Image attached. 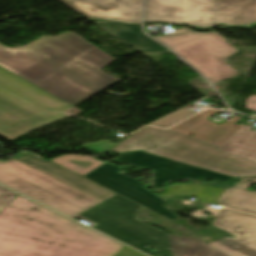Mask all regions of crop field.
<instances>
[{"instance_id": "crop-field-1", "label": "crop field", "mask_w": 256, "mask_h": 256, "mask_svg": "<svg viewBox=\"0 0 256 256\" xmlns=\"http://www.w3.org/2000/svg\"><path fill=\"white\" fill-rule=\"evenodd\" d=\"M0 183L150 256H228L197 238L166 235L139 222L134 214L141 205L33 154L20 151L0 162Z\"/></svg>"}, {"instance_id": "crop-field-2", "label": "crop field", "mask_w": 256, "mask_h": 256, "mask_svg": "<svg viewBox=\"0 0 256 256\" xmlns=\"http://www.w3.org/2000/svg\"><path fill=\"white\" fill-rule=\"evenodd\" d=\"M73 32L18 48L0 43V66L75 106L121 79L102 70L116 59Z\"/></svg>"}, {"instance_id": "crop-field-3", "label": "crop field", "mask_w": 256, "mask_h": 256, "mask_svg": "<svg viewBox=\"0 0 256 256\" xmlns=\"http://www.w3.org/2000/svg\"><path fill=\"white\" fill-rule=\"evenodd\" d=\"M0 256H145L20 195L0 213Z\"/></svg>"}, {"instance_id": "crop-field-4", "label": "crop field", "mask_w": 256, "mask_h": 256, "mask_svg": "<svg viewBox=\"0 0 256 256\" xmlns=\"http://www.w3.org/2000/svg\"><path fill=\"white\" fill-rule=\"evenodd\" d=\"M217 112L204 111L167 130L146 127L111 150H141L234 177L256 176V163L217 150L242 126L234 124L238 117L221 125L206 120Z\"/></svg>"}, {"instance_id": "crop-field-5", "label": "crop field", "mask_w": 256, "mask_h": 256, "mask_svg": "<svg viewBox=\"0 0 256 256\" xmlns=\"http://www.w3.org/2000/svg\"><path fill=\"white\" fill-rule=\"evenodd\" d=\"M79 111L0 67V136L12 141Z\"/></svg>"}, {"instance_id": "crop-field-6", "label": "crop field", "mask_w": 256, "mask_h": 256, "mask_svg": "<svg viewBox=\"0 0 256 256\" xmlns=\"http://www.w3.org/2000/svg\"><path fill=\"white\" fill-rule=\"evenodd\" d=\"M219 0H146L145 22L217 25Z\"/></svg>"}, {"instance_id": "crop-field-7", "label": "crop field", "mask_w": 256, "mask_h": 256, "mask_svg": "<svg viewBox=\"0 0 256 256\" xmlns=\"http://www.w3.org/2000/svg\"><path fill=\"white\" fill-rule=\"evenodd\" d=\"M207 39L174 50L212 83L237 75L222 60L238 52L226 40L215 33H201Z\"/></svg>"}, {"instance_id": "crop-field-8", "label": "crop field", "mask_w": 256, "mask_h": 256, "mask_svg": "<svg viewBox=\"0 0 256 256\" xmlns=\"http://www.w3.org/2000/svg\"><path fill=\"white\" fill-rule=\"evenodd\" d=\"M121 170L116 166L106 163L84 175V177L170 220L178 218V216L162 206L165 201L159 199L160 197L158 198L155 194L144 188L146 184L119 173Z\"/></svg>"}, {"instance_id": "crop-field-9", "label": "crop field", "mask_w": 256, "mask_h": 256, "mask_svg": "<svg viewBox=\"0 0 256 256\" xmlns=\"http://www.w3.org/2000/svg\"><path fill=\"white\" fill-rule=\"evenodd\" d=\"M115 159L130 165L143 166L155 170L152 176L154 189L165 185L168 181H181L186 177L193 178L195 180L202 177L214 178L223 181L234 179V177L219 174L141 151L124 153Z\"/></svg>"}, {"instance_id": "crop-field-10", "label": "crop field", "mask_w": 256, "mask_h": 256, "mask_svg": "<svg viewBox=\"0 0 256 256\" xmlns=\"http://www.w3.org/2000/svg\"><path fill=\"white\" fill-rule=\"evenodd\" d=\"M86 18L140 22L142 0H59Z\"/></svg>"}, {"instance_id": "crop-field-11", "label": "crop field", "mask_w": 256, "mask_h": 256, "mask_svg": "<svg viewBox=\"0 0 256 256\" xmlns=\"http://www.w3.org/2000/svg\"><path fill=\"white\" fill-rule=\"evenodd\" d=\"M96 24L108 33L114 35L143 53H161L167 51V48L146 37L142 33L140 24L129 25L117 22H97Z\"/></svg>"}, {"instance_id": "crop-field-12", "label": "crop field", "mask_w": 256, "mask_h": 256, "mask_svg": "<svg viewBox=\"0 0 256 256\" xmlns=\"http://www.w3.org/2000/svg\"><path fill=\"white\" fill-rule=\"evenodd\" d=\"M214 225L242 235L238 241L256 249V216L225 209L215 218Z\"/></svg>"}, {"instance_id": "crop-field-13", "label": "crop field", "mask_w": 256, "mask_h": 256, "mask_svg": "<svg viewBox=\"0 0 256 256\" xmlns=\"http://www.w3.org/2000/svg\"><path fill=\"white\" fill-rule=\"evenodd\" d=\"M256 22V0H220L218 23L243 25Z\"/></svg>"}, {"instance_id": "crop-field-14", "label": "crop field", "mask_w": 256, "mask_h": 256, "mask_svg": "<svg viewBox=\"0 0 256 256\" xmlns=\"http://www.w3.org/2000/svg\"><path fill=\"white\" fill-rule=\"evenodd\" d=\"M251 183H256V179H242L227 189L218 203L256 214V192L246 190Z\"/></svg>"}, {"instance_id": "crop-field-15", "label": "crop field", "mask_w": 256, "mask_h": 256, "mask_svg": "<svg viewBox=\"0 0 256 256\" xmlns=\"http://www.w3.org/2000/svg\"><path fill=\"white\" fill-rule=\"evenodd\" d=\"M243 125L219 150L256 162V131Z\"/></svg>"}, {"instance_id": "crop-field-16", "label": "crop field", "mask_w": 256, "mask_h": 256, "mask_svg": "<svg viewBox=\"0 0 256 256\" xmlns=\"http://www.w3.org/2000/svg\"><path fill=\"white\" fill-rule=\"evenodd\" d=\"M225 187H212L210 185L188 184L171 186L165 189L159 196L171 197L172 195L195 197L198 202L214 204L224 191Z\"/></svg>"}, {"instance_id": "crop-field-17", "label": "crop field", "mask_w": 256, "mask_h": 256, "mask_svg": "<svg viewBox=\"0 0 256 256\" xmlns=\"http://www.w3.org/2000/svg\"><path fill=\"white\" fill-rule=\"evenodd\" d=\"M51 161L81 176L103 164L86 156L78 155H63Z\"/></svg>"}, {"instance_id": "crop-field-18", "label": "crop field", "mask_w": 256, "mask_h": 256, "mask_svg": "<svg viewBox=\"0 0 256 256\" xmlns=\"http://www.w3.org/2000/svg\"><path fill=\"white\" fill-rule=\"evenodd\" d=\"M154 38L165 43L172 50L205 39V37L193 30L184 31L176 34L155 36Z\"/></svg>"}, {"instance_id": "crop-field-19", "label": "crop field", "mask_w": 256, "mask_h": 256, "mask_svg": "<svg viewBox=\"0 0 256 256\" xmlns=\"http://www.w3.org/2000/svg\"><path fill=\"white\" fill-rule=\"evenodd\" d=\"M192 104H188L168 115H165L147 125L155 126V127H160V128H167L182 119L188 117L189 115L193 114L194 112L188 110L187 108L191 107Z\"/></svg>"}, {"instance_id": "crop-field-20", "label": "crop field", "mask_w": 256, "mask_h": 256, "mask_svg": "<svg viewBox=\"0 0 256 256\" xmlns=\"http://www.w3.org/2000/svg\"><path fill=\"white\" fill-rule=\"evenodd\" d=\"M229 242H232L231 244ZM220 244L228 247V248H231L245 256H256V250L248 247V246H245L235 240H231L229 238H224ZM232 245H237L239 248H236V247H232Z\"/></svg>"}, {"instance_id": "crop-field-21", "label": "crop field", "mask_w": 256, "mask_h": 256, "mask_svg": "<svg viewBox=\"0 0 256 256\" xmlns=\"http://www.w3.org/2000/svg\"><path fill=\"white\" fill-rule=\"evenodd\" d=\"M16 193L0 186V212L13 199Z\"/></svg>"}, {"instance_id": "crop-field-22", "label": "crop field", "mask_w": 256, "mask_h": 256, "mask_svg": "<svg viewBox=\"0 0 256 256\" xmlns=\"http://www.w3.org/2000/svg\"><path fill=\"white\" fill-rule=\"evenodd\" d=\"M115 143L106 141V140H102L99 142H95V143H88V144H84L83 148H87V149H92V150H97V151H104L109 149L110 147H112Z\"/></svg>"}, {"instance_id": "crop-field-23", "label": "crop field", "mask_w": 256, "mask_h": 256, "mask_svg": "<svg viewBox=\"0 0 256 256\" xmlns=\"http://www.w3.org/2000/svg\"><path fill=\"white\" fill-rule=\"evenodd\" d=\"M209 244L215 246L216 248L220 249L221 251L225 252L226 254H228L230 256H243V255H241V254H239V253H237V252H235L231 249H228V248L218 244L217 242H212V243H209Z\"/></svg>"}, {"instance_id": "crop-field-24", "label": "crop field", "mask_w": 256, "mask_h": 256, "mask_svg": "<svg viewBox=\"0 0 256 256\" xmlns=\"http://www.w3.org/2000/svg\"><path fill=\"white\" fill-rule=\"evenodd\" d=\"M245 108L250 109L252 111H256V96L255 95H252L246 99Z\"/></svg>"}]
</instances>
